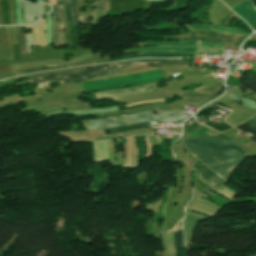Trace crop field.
Returning a JSON list of instances; mask_svg holds the SVG:
<instances>
[{"label":"crop field","instance_id":"120bbe31","mask_svg":"<svg viewBox=\"0 0 256 256\" xmlns=\"http://www.w3.org/2000/svg\"><path fill=\"white\" fill-rule=\"evenodd\" d=\"M51 4H56L55 0H50Z\"/></svg>","mask_w":256,"mask_h":256},{"label":"crop field","instance_id":"214f88e0","mask_svg":"<svg viewBox=\"0 0 256 256\" xmlns=\"http://www.w3.org/2000/svg\"><path fill=\"white\" fill-rule=\"evenodd\" d=\"M232 112H233V110H232ZM249 118H251V116H247V115H243V114H239V113L233 112L230 116H228L225 119V121L230 123V124H232V125H234V126H236V125L244 122L245 120H247Z\"/></svg>","mask_w":256,"mask_h":256},{"label":"crop field","instance_id":"34b2d1b8","mask_svg":"<svg viewBox=\"0 0 256 256\" xmlns=\"http://www.w3.org/2000/svg\"><path fill=\"white\" fill-rule=\"evenodd\" d=\"M165 80L162 71H154L118 78L82 82L85 92L113 90Z\"/></svg>","mask_w":256,"mask_h":256},{"label":"crop field","instance_id":"bc2a9ffb","mask_svg":"<svg viewBox=\"0 0 256 256\" xmlns=\"http://www.w3.org/2000/svg\"><path fill=\"white\" fill-rule=\"evenodd\" d=\"M52 35H53L54 47H59V43H58V14H57L56 6H53Z\"/></svg>","mask_w":256,"mask_h":256},{"label":"crop field","instance_id":"22f410ed","mask_svg":"<svg viewBox=\"0 0 256 256\" xmlns=\"http://www.w3.org/2000/svg\"><path fill=\"white\" fill-rule=\"evenodd\" d=\"M33 29V38L35 46H44L46 45L44 39V30H45V20L41 19L36 25L26 26Z\"/></svg>","mask_w":256,"mask_h":256},{"label":"crop field","instance_id":"d8731c3e","mask_svg":"<svg viewBox=\"0 0 256 256\" xmlns=\"http://www.w3.org/2000/svg\"><path fill=\"white\" fill-rule=\"evenodd\" d=\"M231 8L256 31V11L250 0L243 1Z\"/></svg>","mask_w":256,"mask_h":256},{"label":"crop field","instance_id":"dd49c442","mask_svg":"<svg viewBox=\"0 0 256 256\" xmlns=\"http://www.w3.org/2000/svg\"><path fill=\"white\" fill-rule=\"evenodd\" d=\"M163 37L168 40L203 39V40L223 41V42H231V43H240L241 40L244 38L243 36L213 33V32H193V33L176 35L172 37H168V36H163Z\"/></svg>","mask_w":256,"mask_h":256},{"label":"crop field","instance_id":"8a807250","mask_svg":"<svg viewBox=\"0 0 256 256\" xmlns=\"http://www.w3.org/2000/svg\"><path fill=\"white\" fill-rule=\"evenodd\" d=\"M184 143L189 152L227 181L246 158V152L223 133L210 135L206 132ZM191 153L189 155L194 164L195 178L225 198L232 200L238 193L225 187L227 181Z\"/></svg>","mask_w":256,"mask_h":256},{"label":"crop field","instance_id":"92a150f3","mask_svg":"<svg viewBox=\"0 0 256 256\" xmlns=\"http://www.w3.org/2000/svg\"><path fill=\"white\" fill-rule=\"evenodd\" d=\"M68 66H39L35 68H29V69H23L19 71H15L17 75L24 74V73H29V72H35V71H41V70H50V69H59V68H65Z\"/></svg>","mask_w":256,"mask_h":256},{"label":"crop field","instance_id":"28ad6ade","mask_svg":"<svg viewBox=\"0 0 256 256\" xmlns=\"http://www.w3.org/2000/svg\"><path fill=\"white\" fill-rule=\"evenodd\" d=\"M174 241L177 256H186V250L183 243V225L182 220L178 222L176 228L174 229Z\"/></svg>","mask_w":256,"mask_h":256},{"label":"crop field","instance_id":"4177f3b9","mask_svg":"<svg viewBox=\"0 0 256 256\" xmlns=\"http://www.w3.org/2000/svg\"><path fill=\"white\" fill-rule=\"evenodd\" d=\"M167 241L169 256H174L173 229L168 231Z\"/></svg>","mask_w":256,"mask_h":256},{"label":"crop field","instance_id":"d3111659","mask_svg":"<svg viewBox=\"0 0 256 256\" xmlns=\"http://www.w3.org/2000/svg\"><path fill=\"white\" fill-rule=\"evenodd\" d=\"M160 103H166L165 101H161V102H156V103H143V104H139V105H136V106H131L129 108H133V107H137V106H142V105H147V104H160Z\"/></svg>","mask_w":256,"mask_h":256},{"label":"crop field","instance_id":"d9b57169","mask_svg":"<svg viewBox=\"0 0 256 256\" xmlns=\"http://www.w3.org/2000/svg\"><path fill=\"white\" fill-rule=\"evenodd\" d=\"M139 47L151 46V45H163V46H192L197 47V41H177V42H142L138 43Z\"/></svg>","mask_w":256,"mask_h":256},{"label":"crop field","instance_id":"00972430","mask_svg":"<svg viewBox=\"0 0 256 256\" xmlns=\"http://www.w3.org/2000/svg\"><path fill=\"white\" fill-rule=\"evenodd\" d=\"M235 128L243 131L246 135L250 132L253 133L254 134L253 136L250 137L249 135L248 137L251 138L256 143V127L255 126L243 123L241 125L236 126Z\"/></svg>","mask_w":256,"mask_h":256},{"label":"crop field","instance_id":"733c2abd","mask_svg":"<svg viewBox=\"0 0 256 256\" xmlns=\"http://www.w3.org/2000/svg\"><path fill=\"white\" fill-rule=\"evenodd\" d=\"M64 6H65V12H66V43L68 48L72 49L74 46L72 45V36H71L72 16L70 12V4H67Z\"/></svg>","mask_w":256,"mask_h":256},{"label":"crop field","instance_id":"750c4746","mask_svg":"<svg viewBox=\"0 0 256 256\" xmlns=\"http://www.w3.org/2000/svg\"><path fill=\"white\" fill-rule=\"evenodd\" d=\"M2 84H13V81H12V79L0 81V85H2Z\"/></svg>","mask_w":256,"mask_h":256},{"label":"crop field","instance_id":"4a817a6b","mask_svg":"<svg viewBox=\"0 0 256 256\" xmlns=\"http://www.w3.org/2000/svg\"><path fill=\"white\" fill-rule=\"evenodd\" d=\"M58 14H59V42L60 46L66 45L64 40V25H65V12L63 5H59Z\"/></svg>","mask_w":256,"mask_h":256},{"label":"crop field","instance_id":"f4fd0767","mask_svg":"<svg viewBox=\"0 0 256 256\" xmlns=\"http://www.w3.org/2000/svg\"><path fill=\"white\" fill-rule=\"evenodd\" d=\"M191 62H192V60H188V62H184L183 60H168V59H142V60H135V61L119 62L113 66L103 68L93 74L86 75L81 78H77V79H73V80H59V81H49V82L40 83V84H38L39 87H37V89L49 87V83H53V82H60L61 85L68 84V83H74V82H82V81H85V80H88L91 78L106 75V74H109L112 72L123 70V69L129 68V67H133L136 65L154 63V64H176V65L190 66Z\"/></svg>","mask_w":256,"mask_h":256},{"label":"crop field","instance_id":"730fd06b","mask_svg":"<svg viewBox=\"0 0 256 256\" xmlns=\"http://www.w3.org/2000/svg\"><path fill=\"white\" fill-rule=\"evenodd\" d=\"M198 47H209V48H222V49H224L223 43H217V42L198 41Z\"/></svg>","mask_w":256,"mask_h":256},{"label":"crop field","instance_id":"3316defc","mask_svg":"<svg viewBox=\"0 0 256 256\" xmlns=\"http://www.w3.org/2000/svg\"><path fill=\"white\" fill-rule=\"evenodd\" d=\"M191 31H197V30H214L217 32H226V33H232V34H239L243 36H247L249 33L232 28V27H220V26H205V25H186Z\"/></svg>","mask_w":256,"mask_h":256},{"label":"crop field","instance_id":"ac0d7876","mask_svg":"<svg viewBox=\"0 0 256 256\" xmlns=\"http://www.w3.org/2000/svg\"><path fill=\"white\" fill-rule=\"evenodd\" d=\"M183 113H140L118 118H104L81 121L85 130L129 126L143 122H179L185 118ZM186 117V116H185Z\"/></svg>","mask_w":256,"mask_h":256},{"label":"crop field","instance_id":"dafd665d","mask_svg":"<svg viewBox=\"0 0 256 256\" xmlns=\"http://www.w3.org/2000/svg\"><path fill=\"white\" fill-rule=\"evenodd\" d=\"M141 128H150V125L149 123H143V124H137L129 127L103 129V130H110L111 133H116V132H124V131L136 130Z\"/></svg>","mask_w":256,"mask_h":256},{"label":"crop field","instance_id":"eef30255","mask_svg":"<svg viewBox=\"0 0 256 256\" xmlns=\"http://www.w3.org/2000/svg\"><path fill=\"white\" fill-rule=\"evenodd\" d=\"M70 1H71V9H72V16H73V26H77L78 16H77L76 0H70Z\"/></svg>","mask_w":256,"mask_h":256},{"label":"crop field","instance_id":"e52e79f7","mask_svg":"<svg viewBox=\"0 0 256 256\" xmlns=\"http://www.w3.org/2000/svg\"><path fill=\"white\" fill-rule=\"evenodd\" d=\"M83 1H86V0H77L79 22L88 23L87 18L92 16L94 18V20L92 22H90L89 24L97 25L99 20L101 18L105 17V13L107 11H109V0H103L101 2H99L98 0H90V1H95V3L92 5L84 4ZM86 5L89 6L87 8V12H80L79 8L84 7ZM92 6H98V8L95 10H91Z\"/></svg>","mask_w":256,"mask_h":256},{"label":"crop field","instance_id":"412701ff","mask_svg":"<svg viewBox=\"0 0 256 256\" xmlns=\"http://www.w3.org/2000/svg\"><path fill=\"white\" fill-rule=\"evenodd\" d=\"M155 85L156 83L147 84L131 89L96 93V96L97 100L100 101L108 98L153 92L156 91ZM219 90H221V88H219L218 86L201 87L200 89H195L194 91H182L179 97L181 99H211L214 94Z\"/></svg>","mask_w":256,"mask_h":256},{"label":"crop field","instance_id":"ae1a2a85","mask_svg":"<svg viewBox=\"0 0 256 256\" xmlns=\"http://www.w3.org/2000/svg\"><path fill=\"white\" fill-rule=\"evenodd\" d=\"M205 125L210 126V127L214 128V129H216L217 131H225V130L231 128V127L227 126L228 124L226 125L224 122L216 126V125H214V124H212V123L207 121L205 123Z\"/></svg>","mask_w":256,"mask_h":256},{"label":"crop field","instance_id":"a9b5d70f","mask_svg":"<svg viewBox=\"0 0 256 256\" xmlns=\"http://www.w3.org/2000/svg\"><path fill=\"white\" fill-rule=\"evenodd\" d=\"M17 29H18V37H19V43H20V49H21V56H23L27 54L24 33L21 31L22 29H24V27H17Z\"/></svg>","mask_w":256,"mask_h":256},{"label":"crop field","instance_id":"d1516ede","mask_svg":"<svg viewBox=\"0 0 256 256\" xmlns=\"http://www.w3.org/2000/svg\"><path fill=\"white\" fill-rule=\"evenodd\" d=\"M115 64V63H113ZM109 65H112V64H102V65H99L97 67H94L92 69H89V70H86L84 72H81V73H78V74H75V75H71V76H52V77H41V78H36V79H31L30 82L31 84H34V83H39V82H44V81H49V80H59V79H71V78H76V77H80V76H83V75H86V74H90L102 67H105V66H109Z\"/></svg>","mask_w":256,"mask_h":256},{"label":"crop field","instance_id":"5142ce71","mask_svg":"<svg viewBox=\"0 0 256 256\" xmlns=\"http://www.w3.org/2000/svg\"><path fill=\"white\" fill-rule=\"evenodd\" d=\"M108 145L107 142L94 143V161H107Z\"/></svg>","mask_w":256,"mask_h":256},{"label":"crop field","instance_id":"bd1437ed","mask_svg":"<svg viewBox=\"0 0 256 256\" xmlns=\"http://www.w3.org/2000/svg\"><path fill=\"white\" fill-rule=\"evenodd\" d=\"M56 1H57V4L63 3V1H64V3H70L69 0H63V1L62 0H56Z\"/></svg>","mask_w":256,"mask_h":256},{"label":"crop field","instance_id":"1d83c4d3","mask_svg":"<svg viewBox=\"0 0 256 256\" xmlns=\"http://www.w3.org/2000/svg\"><path fill=\"white\" fill-rule=\"evenodd\" d=\"M247 123H251V124H253V125L256 126V121H254V120H252V119L248 120Z\"/></svg>","mask_w":256,"mask_h":256},{"label":"crop field","instance_id":"5a996713","mask_svg":"<svg viewBox=\"0 0 256 256\" xmlns=\"http://www.w3.org/2000/svg\"><path fill=\"white\" fill-rule=\"evenodd\" d=\"M196 51L197 48L191 47H145L127 50V54L137 52H186L196 54Z\"/></svg>","mask_w":256,"mask_h":256},{"label":"crop field","instance_id":"d32e631a","mask_svg":"<svg viewBox=\"0 0 256 256\" xmlns=\"http://www.w3.org/2000/svg\"><path fill=\"white\" fill-rule=\"evenodd\" d=\"M252 119L256 120V116H255V117H253Z\"/></svg>","mask_w":256,"mask_h":256},{"label":"crop field","instance_id":"cbeb9de0","mask_svg":"<svg viewBox=\"0 0 256 256\" xmlns=\"http://www.w3.org/2000/svg\"><path fill=\"white\" fill-rule=\"evenodd\" d=\"M190 56H195V55L185 54V53H142V54H138V55L113 59L108 62H113L116 60H123V59L137 58V57H190Z\"/></svg>","mask_w":256,"mask_h":256}]
</instances>
